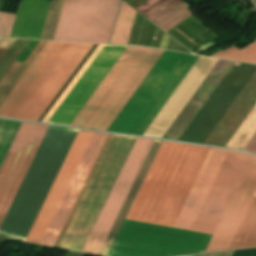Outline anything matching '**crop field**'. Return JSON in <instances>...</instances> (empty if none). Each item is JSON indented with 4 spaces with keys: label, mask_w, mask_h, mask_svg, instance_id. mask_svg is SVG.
I'll use <instances>...</instances> for the list:
<instances>
[{
    "label": "crop field",
    "mask_w": 256,
    "mask_h": 256,
    "mask_svg": "<svg viewBox=\"0 0 256 256\" xmlns=\"http://www.w3.org/2000/svg\"><path fill=\"white\" fill-rule=\"evenodd\" d=\"M97 46V44H93V46L90 48V50L87 52L85 57L82 59V61L79 63V65L76 67L74 72L71 74V76L68 78L66 83L63 85V87L60 89V91L57 93L55 98L52 100V102L49 104L47 109L44 111V113L41 115V117L38 119L39 122H42V120L45 118L47 113L50 111V109L53 107L55 102L58 100L60 95L63 93V91L66 89L68 84L71 82L73 77L76 75V73L79 71L81 66L84 64L86 59L89 57V55L92 53L94 48ZM102 47V45L98 44V46L95 48L93 53L90 55V57L87 59L85 64L82 66L80 71L77 73V75L74 77L72 82L69 84L67 89L64 91V93L61 95L59 100L56 102L54 107L51 109V111L48 113L46 118L43 120V122H47V120L50 118V116L53 114L55 109L58 107V105L61 103V101L64 99L66 94L69 92V90L72 88L74 83L77 81V79L80 77V75L83 73L85 68L88 66V64L91 62L93 57L96 55V53L99 51V49ZM126 48V46H119V45H103V47L100 49V51L97 53L95 58L92 60V62L89 64V66L86 68L84 73L81 75V77L78 79L76 84L73 86V88L70 90V92L67 94L65 99L62 101V103L59 105L57 110L54 112V114L51 116V118L48 120V122L51 123H58V124H65L69 125V123L72 121V119L75 117V115L78 113V111L81 109L83 104L86 102V100L89 98V96L92 94V92L95 90L97 85L100 83V81L103 79V77L106 75V73L109 71V69L112 67L114 62L117 60V58L120 56V54L123 52V50ZM71 124V123H70Z\"/></svg>",
    "instance_id": "e52e79f7"
},
{
    "label": "crop field",
    "mask_w": 256,
    "mask_h": 256,
    "mask_svg": "<svg viewBox=\"0 0 256 256\" xmlns=\"http://www.w3.org/2000/svg\"><path fill=\"white\" fill-rule=\"evenodd\" d=\"M48 127L23 122L0 167V225ZM92 133L80 130L76 134L77 137L75 136L76 139L25 241L39 243ZM107 135L93 133L39 244L54 245Z\"/></svg>",
    "instance_id": "ac0d7876"
},
{
    "label": "crop field",
    "mask_w": 256,
    "mask_h": 256,
    "mask_svg": "<svg viewBox=\"0 0 256 256\" xmlns=\"http://www.w3.org/2000/svg\"><path fill=\"white\" fill-rule=\"evenodd\" d=\"M144 50L127 46L70 125L87 128ZM162 53L146 48L88 128L106 130Z\"/></svg>",
    "instance_id": "f4fd0767"
},
{
    "label": "crop field",
    "mask_w": 256,
    "mask_h": 256,
    "mask_svg": "<svg viewBox=\"0 0 256 256\" xmlns=\"http://www.w3.org/2000/svg\"><path fill=\"white\" fill-rule=\"evenodd\" d=\"M233 256H256V248L235 251Z\"/></svg>",
    "instance_id": "dafd665d"
},
{
    "label": "crop field",
    "mask_w": 256,
    "mask_h": 256,
    "mask_svg": "<svg viewBox=\"0 0 256 256\" xmlns=\"http://www.w3.org/2000/svg\"><path fill=\"white\" fill-rule=\"evenodd\" d=\"M7 52V49L0 48V60L4 56V54Z\"/></svg>",
    "instance_id": "730fd06b"
},
{
    "label": "crop field",
    "mask_w": 256,
    "mask_h": 256,
    "mask_svg": "<svg viewBox=\"0 0 256 256\" xmlns=\"http://www.w3.org/2000/svg\"><path fill=\"white\" fill-rule=\"evenodd\" d=\"M209 149L163 141L125 219L172 227ZM250 155L211 148L173 227L212 234ZM207 234L125 220L107 256L202 253Z\"/></svg>",
    "instance_id": "8a807250"
},
{
    "label": "crop field",
    "mask_w": 256,
    "mask_h": 256,
    "mask_svg": "<svg viewBox=\"0 0 256 256\" xmlns=\"http://www.w3.org/2000/svg\"><path fill=\"white\" fill-rule=\"evenodd\" d=\"M22 122L0 119V165Z\"/></svg>",
    "instance_id": "5142ce71"
},
{
    "label": "crop field",
    "mask_w": 256,
    "mask_h": 256,
    "mask_svg": "<svg viewBox=\"0 0 256 256\" xmlns=\"http://www.w3.org/2000/svg\"><path fill=\"white\" fill-rule=\"evenodd\" d=\"M121 0H64L53 40L108 43Z\"/></svg>",
    "instance_id": "d8731c3e"
},
{
    "label": "crop field",
    "mask_w": 256,
    "mask_h": 256,
    "mask_svg": "<svg viewBox=\"0 0 256 256\" xmlns=\"http://www.w3.org/2000/svg\"><path fill=\"white\" fill-rule=\"evenodd\" d=\"M125 5H126V3L121 1V5H120L119 11H118V15H117V18H116V22H115V25H114L113 32H112L109 43H115L116 42V38H117L118 31H119L120 23H121V20H122V16H123V13H124Z\"/></svg>",
    "instance_id": "92a150f3"
},
{
    "label": "crop field",
    "mask_w": 256,
    "mask_h": 256,
    "mask_svg": "<svg viewBox=\"0 0 256 256\" xmlns=\"http://www.w3.org/2000/svg\"><path fill=\"white\" fill-rule=\"evenodd\" d=\"M135 9L164 31L190 15L181 0H148Z\"/></svg>",
    "instance_id": "28ad6ade"
},
{
    "label": "crop field",
    "mask_w": 256,
    "mask_h": 256,
    "mask_svg": "<svg viewBox=\"0 0 256 256\" xmlns=\"http://www.w3.org/2000/svg\"><path fill=\"white\" fill-rule=\"evenodd\" d=\"M172 41H173V39L170 38L169 45H168V48H167L169 50L171 49ZM174 50L191 53L187 49H185L183 46H181L179 43H176V46H175Z\"/></svg>",
    "instance_id": "a9b5d70f"
},
{
    "label": "crop field",
    "mask_w": 256,
    "mask_h": 256,
    "mask_svg": "<svg viewBox=\"0 0 256 256\" xmlns=\"http://www.w3.org/2000/svg\"><path fill=\"white\" fill-rule=\"evenodd\" d=\"M153 141L136 139L81 252L98 254Z\"/></svg>",
    "instance_id": "5a996713"
},
{
    "label": "crop field",
    "mask_w": 256,
    "mask_h": 256,
    "mask_svg": "<svg viewBox=\"0 0 256 256\" xmlns=\"http://www.w3.org/2000/svg\"><path fill=\"white\" fill-rule=\"evenodd\" d=\"M255 70L256 65L232 66L179 140L203 143ZM255 104L256 72L204 143L224 147Z\"/></svg>",
    "instance_id": "412701ff"
},
{
    "label": "crop field",
    "mask_w": 256,
    "mask_h": 256,
    "mask_svg": "<svg viewBox=\"0 0 256 256\" xmlns=\"http://www.w3.org/2000/svg\"><path fill=\"white\" fill-rule=\"evenodd\" d=\"M14 16L12 14L0 13V37H9Z\"/></svg>",
    "instance_id": "214f88e0"
},
{
    "label": "crop field",
    "mask_w": 256,
    "mask_h": 256,
    "mask_svg": "<svg viewBox=\"0 0 256 256\" xmlns=\"http://www.w3.org/2000/svg\"><path fill=\"white\" fill-rule=\"evenodd\" d=\"M214 57L256 63V40L246 47L237 50L229 48L223 52L213 55Z\"/></svg>",
    "instance_id": "d9b57169"
},
{
    "label": "crop field",
    "mask_w": 256,
    "mask_h": 256,
    "mask_svg": "<svg viewBox=\"0 0 256 256\" xmlns=\"http://www.w3.org/2000/svg\"><path fill=\"white\" fill-rule=\"evenodd\" d=\"M139 17H140V14H137L136 21H135V24H134V27H133V30H132V33H131V37H130V40H129L128 44L132 43L133 36H134L135 30H136V27H137V24H138ZM143 19H144V17L141 16L140 20H139V24H138L137 30H136V33H135V36H134V40H133V43H132L134 45L137 42L138 35H139L140 29H141V26H142ZM152 25H153V23H151L147 19H144V23H143V27H142V31H141V34H140L138 45H143V46L147 45ZM156 29H157V27L155 25H153L152 32H151V35H150V38H149V42H148V45H147L149 47L152 46V42H153V39H154V36H155ZM162 33H163V31L160 30L159 31V35L156 38V42H155V46H154L156 48L159 47V43H160V40H161V37H162Z\"/></svg>",
    "instance_id": "cbeb9de0"
},
{
    "label": "crop field",
    "mask_w": 256,
    "mask_h": 256,
    "mask_svg": "<svg viewBox=\"0 0 256 256\" xmlns=\"http://www.w3.org/2000/svg\"><path fill=\"white\" fill-rule=\"evenodd\" d=\"M38 41H30L24 61ZM92 44L47 42L0 107V116L37 121Z\"/></svg>",
    "instance_id": "34b2d1b8"
},
{
    "label": "crop field",
    "mask_w": 256,
    "mask_h": 256,
    "mask_svg": "<svg viewBox=\"0 0 256 256\" xmlns=\"http://www.w3.org/2000/svg\"><path fill=\"white\" fill-rule=\"evenodd\" d=\"M136 14H137L136 11H134L130 6L126 5L125 13L123 16L122 24L120 27V31H119L116 43H122V44L128 43Z\"/></svg>",
    "instance_id": "4a817a6b"
},
{
    "label": "crop field",
    "mask_w": 256,
    "mask_h": 256,
    "mask_svg": "<svg viewBox=\"0 0 256 256\" xmlns=\"http://www.w3.org/2000/svg\"><path fill=\"white\" fill-rule=\"evenodd\" d=\"M63 0H52L40 39L52 40Z\"/></svg>",
    "instance_id": "733c2abd"
},
{
    "label": "crop field",
    "mask_w": 256,
    "mask_h": 256,
    "mask_svg": "<svg viewBox=\"0 0 256 256\" xmlns=\"http://www.w3.org/2000/svg\"><path fill=\"white\" fill-rule=\"evenodd\" d=\"M246 151L256 152V135L251 140V142L248 144V146L245 148Z\"/></svg>",
    "instance_id": "00972430"
},
{
    "label": "crop field",
    "mask_w": 256,
    "mask_h": 256,
    "mask_svg": "<svg viewBox=\"0 0 256 256\" xmlns=\"http://www.w3.org/2000/svg\"><path fill=\"white\" fill-rule=\"evenodd\" d=\"M169 38H170V36H168L166 33H163V37H162L159 48L166 49L167 45H168Z\"/></svg>",
    "instance_id": "4177f3b9"
},
{
    "label": "crop field",
    "mask_w": 256,
    "mask_h": 256,
    "mask_svg": "<svg viewBox=\"0 0 256 256\" xmlns=\"http://www.w3.org/2000/svg\"><path fill=\"white\" fill-rule=\"evenodd\" d=\"M201 24H203L201 21L191 16L175 28L178 29L180 32H182L185 36H187L190 40H192L197 45L204 41L206 42L210 39L217 37L214 34L210 33V34L201 36V38L204 40L203 41L199 37V35L209 31H213V29L211 27L205 29ZM168 34H170L172 37L178 40L181 44H183L189 50L194 47L190 43H188L186 40H184L182 37H180L178 34H176L174 31L170 30Z\"/></svg>",
    "instance_id": "d1516ede"
},
{
    "label": "crop field",
    "mask_w": 256,
    "mask_h": 256,
    "mask_svg": "<svg viewBox=\"0 0 256 256\" xmlns=\"http://www.w3.org/2000/svg\"><path fill=\"white\" fill-rule=\"evenodd\" d=\"M256 132V105L226 145L228 148L242 150ZM225 147V146H224Z\"/></svg>",
    "instance_id": "22f410ed"
},
{
    "label": "crop field",
    "mask_w": 256,
    "mask_h": 256,
    "mask_svg": "<svg viewBox=\"0 0 256 256\" xmlns=\"http://www.w3.org/2000/svg\"><path fill=\"white\" fill-rule=\"evenodd\" d=\"M254 2H255V4H256V0H253Z\"/></svg>",
    "instance_id": "eef30255"
},
{
    "label": "crop field",
    "mask_w": 256,
    "mask_h": 256,
    "mask_svg": "<svg viewBox=\"0 0 256 256\" xmlns=\"http://www.w3.org/2000/svg\"><path fill=\"white\" fill-rule=\"evenodd\" d=\"M256 246V155H251L204 252Z\"/></svg>",
    "instance_id": "dd49c442"
},
{
    "label": "crop field",
    "mask_w": 256,
    "mask_h": 256,
    "mask_svg": "<svg viewBox=\"0 0 256 256\" xmlns=\"http://www.w3.org/2000/svg\"><path fill=\"white\" fill-rule=\"evenodd\" d=\"M111 135L112 134L108 135V137H107V139H106V141H105V143H104V145H103V147H102V149H101V151H100V153H99V155H98V157H97V159H96V161H95V163H94V165H93V167L91 169V172H90V174H89V176H88V178H87V180H86V182H85V184H84V186H83V188H82V190H81V192H80V194H79V196H78V198H77V200H76V202H75V204H74V206L72 208V211H71V213H70V215H69V217H68V219H67V221H66V223H65V225H64V227H63V229H62V231H61V233H60V235H59V237H58V239H57V241H56L54 246H56V247L58 246V244H59V242H60V240H61V238H62V236H63V234H64V232H65V230H66V228H67V226H68V224L70 222V220H71V217H72V215H73V213H74V211H75V209H76V207H77V205H78V203H79V201H80V199H81V197H82V195L84 193V190H85V188H86V186H87V184H88V182H89V180H90V178H91V176H92V174H93V172H94V170H95V168H96V166L98 164V161H99V159H100V157H101V155H102V153H103V151H104V149H105V147H106V145H107Z\"/></svg>",
    "instance_id": "bc2a9ffb"
},
{
    "label": "crop field",
    "mask_w": 256,
    "mask_h": 256,
    "mask_svg": "<svg viewBox=\"0 0 256 256\" xmlns=\"http://www.w3.org/2000/svg\"><path fill=\"white\" fill-rule=\"evenodd\" d=\"M50 2L21 0L11 35L40 37Z\"/></svg>",
    "instance_id": "3316defc"
}]
</instances>
